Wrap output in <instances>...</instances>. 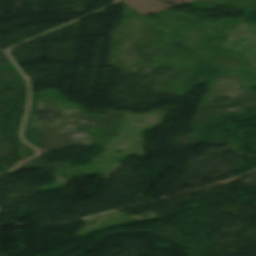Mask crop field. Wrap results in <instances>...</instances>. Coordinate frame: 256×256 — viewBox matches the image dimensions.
Segmentation results:
<instances>
[{
  "instance_id": "1",
  "label": "crop field",
  "mask_w": 256,
  "mask_h": 256,
  "mask_svg": "<svg viewBox=\"0 0 256 256\" xmlns=\"http://www.w3.org/2000/svg\"><path fill=\"white\" fill-rule=\"evenodd\" d=\"M240 20H244L247 22L255 23L256 24V7L252 9L250 12L245 14Z\"/></svg>"
}]
</instances>
